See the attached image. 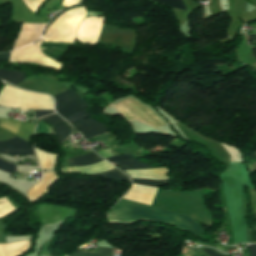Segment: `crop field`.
<instances>
[{
    "label": "crop field",
    "instance_id": "crop-field-1",
    "mask_svg": "<svg viewBox=\"0 0 256 256\" xmlns=\"http://www.w3.org/2000/svg\"><path fill=\"white\" fill-rule=\"evenodd\" d=\"M225 190L227 205L232 223L235 244L248 243L243 215V186L253 189L244 163L231 161L228 169L219 174Z\"/></svg>",
    "mask_w": 256,
    "mask_h": 256
},
{
    "label": "crop field",
    "instance_id": "crop-field-2",
    "mask_svg": "<svg viewBox=\"0 0 256 256\" xmlns=\"http://www.w3.org/2000/svg\"><path fill=\"white\" fill-rule=\"evenodd\" d=\"M109 223L131 224L139 220H148L170 224L180 231H189L195 236L205 231L190 218L135 202L121 199L109 213Z\"/></svg>",
    "mask_w": 256,
    "mask_h": 256
},
{
    "label": "crop field",
    "instance_id": "crop-field-3",
    "mask_svg": "<svg viewBox=\"0 0 256 256\" xmlns=\"http://www.w3.org/2000/svg\"><path fill=\"white\" fill-rule=\"evenodd\" d=\"M86 7L73 8L66 11L51 23L46 34L45 41L73 43L78 25L84 19Z\"/></svg>",
    "mask_w": 256,
    "mask_h": 256
},
{
    "label": "crop field",
    "instance_id": "crop-field-4",
    "mask_svg": "<svg viewBox=\"0 0 256 256\" xmlns=\"http://www.w3.org/2000/svg\"><path fill=\"white\" fill-rule=\"evenodd\" d=\"M0 105L19 107L22 111L29 109L53 110V102L50 97L24 92L8 85H6L0 95Z\"/></svg>",
    "mask_w": 256,
    "mask_h": 256
},
{
    "label": "crop field",
    "instance_id": "crop-field-5",
    "mask_svg": "<svg viewBox=\"0 0 256 256\" xmlns=\"http://www.w3.org/2000/svg\"><path fill=\"white\" fill-rule=\"evenodd\" d=\"M113 106L127 120H138L154 127L163 125L150 109L130 98H126Z\"/></svg>",
    "mask_w": 256,
    "mask_h": 256
},
{
    "label": "crop field",
    "instance_id": "crop-field-6",
    "mask_svg": "<svg viewBox=\"0 0 256 256\" xmlns=\"http://www.w3.org/2000/svg\"><path fill=\"white\" fill-rule=\"evenodd\" d=\"M56 102V111L62 117H67L89 107L72 89L53 97Z\"/></svg>",
    "mask_w": 256,
    "mask_h": 256
},
{
    "label": "crop field",
    "instance_id": "crop-field-7",
    "mask_svg": "<svg viewBox=\"0 0 256 256\" xmlns=\"http://www.w3.org/2000/svg\"><path fill=\"white\" fill-rule=\"evenodd\" d=\"M41 40L37 43L22 48L20 50L13 51L11 54L10 62H26V63H35L42 64L54 68H59V65L56 61L44 57L39 51V44Z\"/></svg>",
    "mask_w": 256,
    "mask_h": 256
},
{
    "label": "crop field",
    "instance_id": "crop-field-8",
    "mask_svg": "<svg viewBox=\"0 0 256 256\" xmlns=\"http://www.w3.org/2000/svg\"><path fill=\"white\" fill-rule=\"evenodd\" d=\"M33 123L19 122L0 118V127L29 141L33 135Z\"/></svg>",
    "mask_w": 256,
    "mask_h": 256
},
{
    "label": "crop field",
    "instance_id": "crop-field-9",
    "mask_svg": "<svg viewBox=\"0 0 256 256\" xmlns=\"http://www.w3.org/2000/svg\"><path fill=\"white\" fill-rule=\"evenodd\" d=\"M156 190L157 188L133 184L123 198L150 206Z\"/></svg>",
    "mask_w": 256,
    "mask_h": 256
},
{
    "label": "crop field",
    "instance_id": "crop-field-10",
    "mask_svg": "<svg viewBox=\"0 0 256 256\" xmlns=\"http://www.w3.org/2000/svg\"><path fill=\"white\" fill-rule=\"evenodd\" d=\"M0 153L12 155L34 154L33 147L17 137H13L8 142H0Z\"/></svg>",
    "mask_w": 256,
    "mask_h": 256
},
{
    "label": "crop field",
    "instance_id": "crop-field-11",
    "mask_svg": "<svg viewBox=\"0 0 256 256\" xmlns=\"http://www.w3.org/2000/svg\"><path fill=\"white\" fill-rule=\"evenodd\" d=\"M44 177L28 190L27 196L30 202L41 198L48 188L59 178L54 172L43 173Z\"/></svg>",
    "mask_w": 256,
    "mask_h": 256
},
{
    "label": "crop field",
    "instance_id": "crop-field-12",
    "mask_svg": "<svg viewBox=\"0 0 256 256\" xmlns=\"http://www.w3.org/2000/svg\"><path fill=\"white\" fill-rule=\"evenodd\" d=\"M46 24H24L19 38L16 40L13 49L25 44L32 43L39 39Z\"/></svg>",
    "mask_w": 256,
    "mask_h": 256
},
{
    "label": "crop field",
    "instance_id": "crop-field-13",
    "mask_svg": "<svg viewBox=\"0 0 256 256\" xmlns=\"http://www.w3.org/2000/svg\"><path fill=\"white\" fill-rule=\"evenodd\" d=\"M74 126L82 132L86 139L108 132L105 125L100 124L91 118L76 123Z\"/></svg>",
    "mask_w": 256,
    "mask_h": 256
},
{
    "label": "crop field",
    "instance_id": "crop-field-14",
    "mask_svg": "<svg viewBox=\"0 0 256 256\" xmlns=\"http://www.w3.org/2000/svg\"><path fill=\"white\" fill-rule=\"evenodd\" d=\"M125 172H127L131 178L168 179L167 168H157L153 170H130Z\"/></svg>",
    "mask_w": 256,
    "mask_h": 256
},
{
    "label": "crop field",
    "instance_id": "crop-field-15",
    "mask_svg": "<svg viewBox=\"0 0 256 256\" xmlns=\"http://www.w3.org/2000/svg\"><path fill=\"white\" fill-rule=\"evenodd\" d=\"M111 168H114L112 165L109 163L103 161L98 164L90 165L87 167H69V168H63L61 171L64 173H69V172H82V173H96V172H102V171H107Z\"/></svg>",
    "mask_w": 256,
    "mask_h": 256
},
{
    "label": "crop field",
    "instance_id": "crop-field-16",
    "mask_svg": "<svg viewBox=\"0 0 256 256\" xmlns=\"http://www.w3.org/2000/svg\"><path fill=\"white\" fill-rule=\"evenodd\" d=\"M29 242L0 245V256H18L29 248Z\"/></svg>",
    "mask_w": 256,
    "mask_h": 256
},
{
    "label": "crop field",
    "instance_id": "crop-field-17",
    "mask_svg": "<svg viewBox=\"0 0 256 256\" xmlns=\"http://www.w3.org/2000/svg\"><path fill=\"white\" fill-rule=\"evenodd\" d=\"M35 151L37 153L41 169H52L57 155L36 148Z\"/></svg>",
    "mask_w": 256,
    "mask_h": 256
},
{
    "label": "crop field",
    "instance_id": "crop-field-18",
    "mask_svg": "<svg viewBox=\"0 0 256 256\" xmlns=\"http://www.w3.org/2000/svg\"><path fill=\"white\" fill-rule=\"evenodd\" d=\"M68 161L72 166H87L93 163L101 162L103 160L97 157L94 152H92L81 157L68 159Z\"/></svg>",
    "mask_w": 256,
    "mask_h": 256
},
{
    "label": "crop field",
    "instance_id": "crop-field-19",
    "mask_svg": "<svg viewBox=\"0 0 256 256\" xmlns=\"http://www.w3.org/2000/svg\"><path fill=\"white\" fill-rule=\"evenodd\" d=\"M24 76L25 74L22 72L0 69V78L13 85L24 80Z\"/></svg>",
    "mask_w": 256,
    "mask_h": 256
},
{
    "label": "crop field",
    "instance_id": "crop-field-20",
    "mask_svg": "<svg viewBox=\"0 0 256 256\" xmlns=\"http://www.w3.org/2000/svg\"><path fill=\"white\" fill-rule=\"evenodd\" d=\"M87 176H96L104 179H115L130 183V179L116 168L104 173L87 174Z\"/></svg>",
    "mask_w": 256,
    "mask_h": 256
},
{
    "label": "crop field",
    "instance_id": "crop-field-21",
    "mask_svg": "<svg viewBox=\"0 0 256 256\" xmlns=\"http://www.w3.org/2000/svg\"><path fill=\"white\" fill-rule=\"evenodd\" d=\"M119 167H121L123 170H129V169H149L151 167L135 160H125V161H119L115 162Z\"/></svg>",
    "mask_w": 256,
    "mask_h": 256
},
{
    "label": "crop field",
    "instance_id": "crop-field-22",
    "mask_svg": "<svg viewBox=\"0 0 256 256\" xmlns=\"http://www.w3.org/2000/svg\"><path fill=\"white\" fill-rule=\"evenodd\" d=\"M52 129L57 137L59 144L62 141H64L72 131L71 128L65 122L57 126H54Z\"/></svg>",
    "mask_w": 256,
    "mask_h": 256
},
{
    "label": "crop field",
    "instance_id": "crop-field-23",
    "mask_svg": "<svg viewBox=\"0 0 256 256\" xmlns=\"http://www.w3.org/2000/svg\"><path fill=\"white\" fill-rule=\"evenodd\" d=\"M71 256H112V249L98 247L95 253H87L76 250Z\"/></svg>",
    "mask_w": 256,
    "mask_h": 256
},
{
    "label": "crop field",
    "instance_id": "crop-field-24",
    "mask_svg": "<svg viewBox=\"0 0 256 256\" xmlns=\"http://www.w3.org/2000/svg\"><path fill=\"white\" fill-rule=\"evenodd\" d=\"M133 183L158 187L168 184L169 180H152V179H132Z\"/></svg>",
    "mask_w": 256,
    "mask_h": 256
},
{
    "label": "crop field",
    "instance_id": "crop-field-25",
    "mask_svg": "<svg viewBox=\"0 0 256 256\" xmlns=\"http://www.w3.org/2000/svg\"><path fill=\"white\" fill-rule=\"evenodd\" d=\"M156 3L168 5L175 9L187 11L186 6L182 0H151Z\"/></svg>",
    "mask_w": 256,
    "mask_h": 256
},
{
    "label": "crop field",
    "instance_id": "crop-field-26",
    "mask_svg": "<svg viewBox=\"0 0 256 256\" xmlns=\"http://www.w3.org/2000/svg\"><path fill=\"white\" fill-rule=\"evenodd\" d=\"M14 210L16 209L8 202L6 197L0 198V218H2L3 216L9 214Z\"/></svg>",
    "mask_w": 256,
    "mask_h": 256
},
{
    "label": "crop field",
    "instance_id": "crop-field-27",
    "mask_svg": "<svg viewBox=\"0 0 256 256\" xmlns=\"http://www.w3.org/2000/svg\"><path fill=\"white\" fill-rule=\"evenodd\" d=\"M87 118H89V115H88V113L86 112V110H84V111H81V112H79V113H77V114H74V115H72V116H70V117H68V118H66L71 124H74V123H76V122H78V121H81V120H84V119H87Z\"/></svg>",
    "mask_w": 256,
    "mask_h": 256
},
{
    "label": "crop field",
    "instance_id": "crop-field-28",
    "mask_svg": "<svg viewBox=\"0 0 256 256\" xmlns=\"http://www.w3.org/2000/svg\"><path fill=\"white\" fill-rule=\"evenodd\" d=\"M39 120H42L44 122H47L49 124H51L52 126L54 125H57L61 122H63L64 120L61 119L58 115L56 114H53V115H50V116H47V117H44V118H41Z\"/></svg>",
    "mask_w": 256,
    "mask_h": 256
},
{
    "label": "crop field",
    "instance_id": "crop-field-29",
    "mask_svg": "<svg viewBox=\"0 0 256 256\" xmlns=\"http://www.w3.org/2000/svg\"><path fill=\"white\" fill-rule=\"evenodd\" d=\"M248 250H249V253L251 256H256V244H251L249 246H247ZM209 256H220L212 251H208V250H205L203 249Z\"/></svg>",
    "mask_w": 256,
    "mask_h": 256
},
{
    "label": "crop field",
    "instance_id": "crop-field-30",
    "mask_svg": "<svg viewBox=\"0 0 256 256\" xmlns=\"http://www.w3.org/2000/svg\"><path fill=\"white\" fill-rule=\"evenodd\" d=\"M0 169L13 174L16 168L15 166L0 159Z\"/></svg>",
    "mask_w": 256,
    "mask_h": 256
},
{
    "label": "crop field",
    "instance_id": "crop-field-31",
    "mask_svg": "<svg viewBox=\"0 0 256 256\" xmlns=\"http://www.w3.org/2000/svg\"><path fill=\"white\" fill-rule=\"evenodd\" d=\"M5 227H6L5 222L3 221V219H0V229H5ZM4 231L5 230H0V243H5Z\"/></svg>",
    "mask_w": 256,
    "mask_h": 256
},
{
    "label": "crop field",
    "instance_id": "crop-field-32",
    "mask_svg": "<svg viewBox=\"0 0 256 256\" xmlns=\"http://www.w3.org/2000/svg\"><path fill=\"white\" fill-rule=\"evenodd\" d=\"M132 157H130L128 154L125 156H115V157H110V158H106L108 161L113 162V161H119V160H125V159H131Z\"/></svg>",
    "mask_w": 256,
    "mask_h": 256
},
{
    "label": "crop field",
    "instance_id": "crop-field-33",
    "mask_svg": "<svg viewBox=\"0 0 256 256\" xmlns=\"http://www.w3.org/2000/svg\"><path fill=\"white\" fill-rule=\"evenodd\" d=\"M81 1H83V0H64L62 5L67 7V6L76 4V3H80Z\"/></svg>",
    "mask_w": 256,
    "mask_h": 256
},
{
    "label": "crop field",
    "instance_id": "crop-field-34",
    "mask_svg": "<svg viewBox=\"0 0 256 256\" xmlns=\"http://www.w3.org/2000/svg\"><path fill=\"white\" fill-rule=\"evenodd\" d=\"M54 113L53 111H35V118Z\"/></svg>",
    "mask_w": 256,
    "mask_h": 256
},
{
    "label": "crop field",
    "instance_id": "crop-field-35",
    "mask_svg": "<svg viewBox=\"0 0 256 256\" xmlns=\"http://www.w3.org/2000/svg\"><path fill=\"white\" fill-rule=\"evenodd\" d=\"M10 52L0 53V61H8Z\"/></svg>",
    "mask_w": 256,
    "mask_h": 256
},
{
    "label": "crop field",
    "instance_id": "crop-field-36",
    "mask_svg": "<svg viewBox=\"0 0 256 256\" xmlns=\"http://www.w3.org/2000/svg\"><path fill=\"white\" fill-rule=\"evenodd\" d=\"M255 7L246 2L245 11L251 13Z\"/></svg>",
    "mask_w": 256,
    "mask_h": 256
}]
</instances>
